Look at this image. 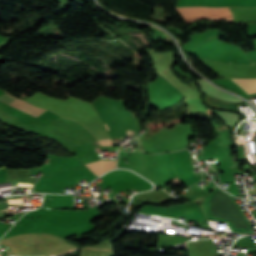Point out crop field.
<instances>
[{"instance_id":"crop-field-4","label":"crop field","mask_w":256,"mask_h":256,"mask_svg":"<svg viewBox=\"0 0 256 256\" xmlns=\"http://www.w3.org/2000/svg\"><path fill=\"white\" fill-rule=\"evenodd\" d=\"M248 94L256 93V79H233Z\"/></svg>"},{"instance_id":"crop-field-2","label":"crop field","mask_w":256,"mask_h":256,"mask_svg":"<svg viewBox=\"0 0 256 256\" xmlns=\"http://www.w3.org/2000/svg\"><path fill=\"white\" fill-rule=\"evenodd\" d=\"M0 102H3L7 105L15 107L33 117H35V118L40 117L42 114H44L46 112V110L34 107L22 100H19L15 97L8 96L6 94L0 96Z\"/></svg>"},{"instance_id":"crop-field-1","label":"crop field","mask_w":256,"mask_h":256,"mask_svg":"<svg viewBox=\"0 0 256 256\" xmlns=\"http://www.w3.org/2000/svg\"><path fill=\"white\" fill-rule=\"evenodd\" d=\"M175 9L184 23L207 19L233 21L228 8L179 7Z\"/></svg>"},{"instance_id":"crop-field-3","label":"crop field","mask_w":256,"mask_h":256,"mask_svg":"<svg viewBox=\"0 0 256 256\" xmlns=\"http://www.w3.org/2000/svg\"><path fill=\"white\" fill-rule=\"evenodd\" d=\"M115 165H116V161L100 160V161L86 164L85 166L88 167L98 177L102 173L108 170L114 169Z\"/></svg>"},{"instance_id":"crop-field-5","label":"crop field","mask_w":256,"mask_h":256,"mask_svg":"<svg viewBox=\"0 0 256 256\" xmlns=\"http://www.w3.org/2000/svg\"><path fill=\"white\" fill-rule=\"evenodd\" d=\"M108 140H111V139L101 140V141H98V142L108 141ZM99 144H100V145H113L111 141H108V142H102V143H99Z\"/></svg>"}]
</instances>
